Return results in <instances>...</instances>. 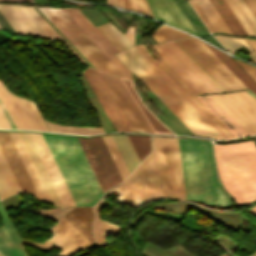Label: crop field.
Here are the masks:
<instances>
[{"label": "crop field", "instance_id": "dbb93151", "mask_svg": "<svg viewBox=\"0 0 256 256\" xmlns=\"http://www.w3.org/2000/svg\"><path fill=\"white\" fill-rule=\"evenodd\" d=\"M250 44L251 46L254 48V50L256 51V40L253 39H247L245 38Z\"/></svg>", "mask_w": 256, "mask_h": 256}, {"label": "crop field", "instance_id": "0765c3eb", "mask_svg": "<svg viewBox=\"0 0 256 256\" xmlns=\"http://www.w3.org/2000/svg\"><path fill=\"white\" fill-rule=\"evenodd\" d=\"M1 1H23V0H1ZM30 2H33L32 0H28Z\"/></svg>", "mask_w": 256, "mask_h": 256}, {"label": "crop field", "instance_id": "4177f3b9", "mask_svg": "<svg viewBox=\"0 0 256 256\" xmlns=\"http://www.w3.org/2000/svg\"><path fill=\"white\" fill-rule=\"evenodd\" d=\"M184 17L187 19L193 30L196 32L198 37L203 38L216 46L224 49L207 31L199 17L196 15L190 4L186 0H173ZM225 50V49H224Z\"/></svg>", "mask_w": 256, "mask_h": 256}, {"label": "crop field", "instance_id": "eef30255", "mask_svg": "<svg viewBox=\"0 0 256 256\" xmlns=\"http://www.w3.org/2000/svg\"><path fill=\"white\" fill-rule=\"evenodd\" d=\"M215 115L216 117L236 136L250 135L236 121H234L224 110H222L207 95L197 96Z\"/></svg>", "mask_w": 256, "mask_h": 256}, {"label": "crop field", "instance_id": "d9b57169", "mask_svg": "<svg viewBox=\"0 0 256 256\" xmlns=\"http://www.w3.org/2000/svg\"><path fill=\"white\" fill-rule=\"evenodd\" d=\"M45 8L76 39V41L97 61V63L106 72L126 78L60 9H52L48 7H45Z\"/></svg>", "mask_w": 256, "mask_h": 256}, {"label": "crop field", "instance_id": "73cf0c24", "mask_svg": "<svg viewBox=\"0 0 256 256\" xmlns=\"http://www.w3.org/2000/svg\"><path fill=\"white\" fill-rule=\"evenodd\" d=\"M0 126H1V128H10L6 119L4 118L1 110H0Z\"/></svg>", "mask_w": 256, "mask_h": 256}, {"label": "crop field", "instance_id": "9d1cf04e", "mask_svg": "<svg viewBox=\"0 0 256 256\" xmlns=\"http://www.w3.org/2000/svg\"><path fill=\"white\" fill-rule=\"evenodd\" d=\"M248 211L251 212L252 214L256 215V207H254V208H252V209H250Z\"/></svg>", "mask_w": 256, "mask_h": 256}, {"label": "crop field", "instance_id": "3316defc", "mask_svg": "<svg viewBox=\"0 0 256 256\" xmlns=\"http://www.w3.org/2000/svg\"><path fill=\"white\" fill-rule=\"evenodd\" d=\"M208 96L251 135L256 134V99L245 91Z\"/></svg>", "mask_w": 256, "mask_h": 256}, {"label": "crop field", "instance_id": "412701ff", "mask_svg": "<svg viewBox=\"0 0 256 256\" xmlns=\"http://www.w3.org/2000/svg\"><path fill=\"white\" fill-rule=\"evenodd\" d=\"M77 206L103 194L75 137L42 134Z\"/></svg>", "mask_w": 256, "mask_h": 256}, {"label": "crop field", "instance_id": "bc2a9ffb", "mask_svg": "<svg viewBox=\"0 0 256 256\" xmlns=\"http://www.w3.org/2000/svg\"><path fill=\"white\" fill-rule=\"evenodd\" d=\"M0 146L22 191H28L39 199L35 188L7 132H0Z\"/></svg>", "mask_w": 256, "mask_h": 256}, {"label": "crop field", "instance_id": "1d79db26", "mask_svg": "<svg viewBox=\"0 0 256 256\" xmlns=\"http://www.w3.org/2000/svg\"><path fill=\"white\" fill-rule=\"evenodd\" d=\"M107 3L111 4V5H114V6H117L116 0H107Z\"/></svg>", "mask_w": 256, "mask_h": 256}, {"label": "crop field", "instance_id": "dd49c442", "mask_svg": "<svg viewBox=\"0 0 256 256\" xmlns=\"http://www.w3.org/2000/svg\"><path fill=\"white\" fill-rule=\"evenodd\" d=\"M152 46L196 94L223 92L173 41Z\"/></svg>", "mask_w": 256, "mask_h": 256}, {"label": "crop field", "instance_id": "a9b5d70f", "mask_svg": "<svg viewBox=\"0 0 256 256\" xmlns=\"http://www.w3.org/2000/svg\"><path fill=\"white\" fill-rule=\"evenodd\" d=\"M8 133H9V135H10V137H11V139H12V141H13V143H14V145H15V147H16V149H17V151H18V153H19V155H20V157H21V159L24 163V165H25V168H26V170H27V172H28V174H29V176H30V178H31L39 196H40V198L42 200L46 201V202H50V200H49V198H48V196H47V194H46V192H45V190L42 186V183H41V181H40V179H39V177H38V175H37V173L34 169V166H33L32 162H31V160H30V158H29V156H28V154L25 150V147H24L18 133L17 132H8Z\"/></svg>", "mask_w": 256, "mask_h": 256}, {"label": "crop field", "instance_id": "5142ce71", "mask_svg": "<svg viewBox=\"0 0 256 256\" xmlns=\"http://www.w3.org/2000/svg\"><path fill=\"white\" fill-rule=\"evenodd\" d=\"M82 73L94 94L96 95L97 99L99 100L100 104L102 105L110 121L114 125L116 131H131L111 94L99 76L97 70L86 68Z\"/></svg>", "mask_w": 256, "mask_h": 256}, {"label": "crop field", "instance_id": "db79e9e6", "mask_svg": "<svg viewBox=\"0 0 256 256\" xmlns=\"http://www.w3.org/2000/svg\"><path fill=\"white\" fill-rule=\"evenodd\" d=\"M66 3H71V2H66ZM71 4H76V5H88V4H78V3H71Z\"/></svg>", "mask_w": 256, "mask_h": 256}, {"label": "crop field", "instance_id": "0fb4a251", "mask_svg": "<svg viewBox=\"0 0 256 256\" xmlns=\"http://www.w3.org/2000/svg\"><path fill=\"white\" fill-rule=\"evenodd\" d=\"M60 39H62V38H60ZM63 40V39H62ZM64 41V40H63ZM65 42V41H64ZM66 43V42H65ZM67 44V43H66ZM68 45V44H67ZM69 46V45H68ZM70 47V46H69ZM71 48V47H70ZM71 50L74 52V54L84 63V64H86V65H88L72 48H71Z\"/></svg>", "mask_w": 256, "mask_h": 256}, {"label": "crop field", "instance_id": "c21b1889", "mask_svg": "<svg viewBox=\"0 0 256 256\" xmlns=\"http://www.w3.org/2000/svg\"><path fill=\"white\" fill-rule=\"evenodd\" d=\"M24 8L45 29V31L52 38L60 37V35L47 23V21L33 7H24Z\"/></svg>", "mask_w": 256, "mask_h": 256}, {"label": "crop field", "instance_id": "e1f06a70", "mask_svg": "<svg viewBox=\"0 0 256 256\" xmlns=\"http://www.w3.org/2000/svg\"><path fill=\"white\" fill-rule=\"evenodd\" d=\"M128 137H129L140 161L151 152V149H152L151 137H149L151 149H150L148 137H139V136H128Z\"/></svg>", "mask_w": 256, "mask_h": 256}, {"label": "crop field", "instance_id": "92a150f3", "mask_svg": "<svg viewBox=\"0 0 256 256\" xmlns=\"http://www.w3.org/2000/svg\"><path fill=\"white\" fill-rule=\"evenodd\" d=\"M0 217L5 225L0 228V254L2 256H28L1 202Z\"/></svg>", "mask_w": 256, "mask_h": 256}, {"label": "crop field", "instance_id": "d23c7cc5", "mask_svg": "<svg viewBox=\"0 0 256 256\" xmlns=\"http://www.w3.org/2000/svg\"><path fill=\"white\" fill-rule=\"evenodd\" d=\"M129 41L134 45V27L129 26L127 32L125 33Z\"/></svg>", "mask_w": 256, "mask_h": 256}, {"label": "crop field", "instance_id": "1f2cbd36", "mask_svg": "<svg viewBox=\"0 0 256 256\" xmlns=\"http://www.w3.org/2000/svg\"><path fill=\"white\" fill-rule=\"evenodd\" d=\"M240 2L243 4V6L245 7V9L247 10V12L250 14V16L252 17V19L254 20V22L256 23V18L253 16V14L251 13V11L249 10V8L246 6V4L244 3L243 0H240Z\"/></svg>", "mask_w": 256, "mask_h": 256}, {"label": "crop field", "instance_id": "d3111659", "mask_svg": "<svg viewBox=\"0 0 256 256\" xmlns=\"http://www.w3.org/2000/svg\"><path fill=\"white\" fill-rule=\"evenodd\" d=\"M205 44V43H204ZM248 88L256 93V83L241 69L234 60L220 50L205 44ZM249 89V90H250Z\"/></svg>", "mask_w": 256, "mask_h": 256}, {"label": "crop field", "instance_id": "03da06ac", "mask_svg": "<svg viewBox=\"0 0 256 256\" xmlns=\"http://www.w3.org/2000/svg\"><path fill=\"white\" fill-rule=\"evenodd\" d=\"M73 207L68 208H51L50 210L38 209L37 211L30 209V211L38 213L40 215L46 216L48 218L54 219L58 221L61 217H63L69 210Z\"/></svg>", "mask_w": 256, "mask_h": 256}, {"label": "crop field", "instance_id": "5a996713", "mask_svg": "<svg viewBox=\"0 0 256 256\" xmlns=\"http://www.w3.org/2000/svg\"><path fill=\"white\" fill-rule=\"evenodd\" d=\"M193 9L196 11L202 22L209 32L221 31L226 33L247 36L241 25L238 23L230 9L223 0H210L225 24L220 19L218 13L211 5L209 0H188ZM249 36V35H248Z\"/></svg>", "mask_w": 256, "mask_h": 256}, {"label": "crop field", "instance_id": "cbeb9de0", "mask_svg": "<svg viewBox=\"0 0 256 256\" xmlns=\"http://www.w3.org/2000/svg\"><path fill=\"white\" fill-rule=\"evenodd\" d=\"M77 27L112 61V63L131 80L130 72L113 55L119 52L88 20L79 9H61Z\"/></svg>", "mask_w": 256, "mask_h": 256}, {"label": "crop field", "instance_id": "028f5c9d", "mask_svg": "<svg viewBox=\"0 0 256 256\" xmlns=\"http://www.w3.org/2000/svg\"><path fill=\"white\" fill-rule=\"evenodd\" d=\"M102 138H103V140H104V142H105V144H106V146H107V148H108V150H109V152H110V154L113 158V161H114L122 179H124L129 174V172H128V170H127V168H126V166H125V164H124V162H123V160L120 156V153H119L112 137L111 136H104Z\"/></svg>", "mask_w": 256, "mask_h": 256}, {"label": "crop field", "instance_id": "25e5ab78", "mask_svg": "<svg viewBox=\"0 0 256 256\" xmlns=\"http://www.w3.org/2000/svg\"><path fill=\"white\" fill-rule=\"evenodd\" d=\"M0 108H1V110H2V112H3V114H4V116H5V118L7 119V121H8V123H9V125H10V127H11V129H15V127H14V125H13V123H12V119L10 120V118H9V116H8V114H7V110L5 111V109H4V107H3V105H2V103L0 102ZM17 129V128H16Z\"/></svg>", "mask_w": 256, "mask_h": 256}, {"label": "crop field", "instance_id": "b54c1fbb", "mask_svg": "<svg viewBox=\"0 0 256 256\" xmlns=\"http://www.w3.org/2000/svg\"><path fill=\"white\" fill-rule=\"evenodd\" d=\"M128 2L130 9L143 12L153 17L146 0H128Z\"/></svg>", "mask_w": 256, "mask_h": 256}, {"label": "crop field", "instance_id": "dafd665d", "mask_svg": "<svg viewBox=\"0 0 256 256\" xmlns=\"http://www.w3.org/2000/svg\"><path fill=\"white\" fill-rule=\"evenodd\" d=\"M18 133H19V135H20V137H21V139H22V141H23V143H24V145L27 149V152H28V154H29L34 166H35V169H36V171H37V173H38V175H39V177H40V179H41V181L44 185V188H45L51 202L53 204L57 205V206H63L59 197H58V195H57V193H56V191H55V189H54V187H53V185H52V183H51V181H50V179H49V177H48V175H47V173H46V171H45V168H44V166H43V164H42V162H41V160H40L32 142H31V140L28 136V134L27 133H21V132H18Z\"/></svg>", "mask_w": 256, "mask_h": 256}, {"label": "crop field", "instance_id": "120bbe31", "mask_svg": "<svg viewBox=\"0 0 256 256\" xmlns=\"http://www.w3.org/2000/svg\"><path fill=\"white\" fill-rule=\"evenodd\" d=\"M109 40L110 42L119 50H123L129 46L131 43L125 37L123 33H121L117 28H115L110 23H105L97 27Z\"/></svg>", "mask_w": 256, "mask_h": 256}, {"label": "crop field", "instance_id": "425ffa30", "mask_svg": "<svg viewBox=\"0 0 256 256\" xmlns=\"http://www.w3.org/2000/svg\"><path fill=\"white\" fill-rule=\"evenodd\" d=\"M256 17V0H244Z\"/></svg>", "mask_w": 256, "mask_h": 256}, {"label": "crop field", "instance_id": "22f410ed", "mask_svg": "<svg viewBox=\"0 0 256 256\" xmlns=\"http://www.w3.org/2000/svg\"><path fill=\"white\" fill-rule=\"evenodd\" d=\"M48 230L54 235L42 244L24 239H22V241L48 249L52 248L53 246L63 249L57 254V256H70L81 248L86 249L94 247L64 217L55 226Z\"/></svg>", "mask_w": 256, "mask_h": 256}, {"label": "crop field", "instance_id": "e52e79f7", "mask_svg": "<svg viewBox=\"0 0 256 256\" xmlns=\"http://www.w3.org/2000/svg\"><path fill=\"white\" fill-rule=\"evenodd\" d=\"M77 138L86 154V157L103 192H105L106 189L119 183L122 179L102 138Z\"/></svg>", "mask_w": 256, "mask_h": 256}, {"label": "crop field", "instance_id": "c035e120", "mask_svg": "<svg viewBox=\"0 0 256 256\" xmlns=\"http://www.w3.org/2000/svg\"><path fill=\"white\" fill-rule=\"evenodd\" d=\"M175 29V28H174ZM164 24L159 26L156 31L151 35L157 42L164 41L167 39L179 38L188 36L185 33L174 30Z\"/></svg>", "mask_w": 256, "mask_h": 256}, {"label": "crop field", "instance_id": "5d738f31", "mask_svg": "<svg viewBox=\"0 0 256 256\" xmlns=\"http://www.w3.org/2000/svg\"><path fill=\"white\" fill-rule=\"evenodd\" d=\"M256 82V67L246 64V63H242L240 61H236Z\"/></svg>", "mask_w": 256, "mask_h": 256}, {"label": "crop field", "instance_id": "730fd06b", "mask_svg": "<svg viewBox=\"0 0 256 256\" xmlns=\"http://www.w3.org/2000/svg\"><path fill=\"white\" fill-rule=\"evenodd\" d=\"M22 192L0 148V197Z\"/></svg>", "mask_w": 256, "mask_h": 256}, {"label": "crop field", "instance_id": "447ae74e", "mask_svg": "<svg viewBox=\"0 0 256 256\" xmlns=\"http://www.w3.org/2000/svg\"><path fill=\"white\" fill-rule=\"evenodd\" d=\"M245 91L248 92L250 95H252L254 98H256V95L253 94L251 91H249V90H245Z\"/></svg>", "mask_w": 256, "mask_h": 256}, {"label": "crop field", "instance_id": "214f88e0", "mask_svg": "<svg viewBox=\"0 0 256 256\" xmlns=\"http://www.w3.org/2000/svg\"><path fill=\"white\" fill-rule=\"evenodd\" d=\"M147 1L156 19L195 34L172 0Z\"/></svg>", "mask_w": 256, "mask_h": 256}, {"label": "crop field", "instance_id": "0f1d7ab4", "mask_svg": "<svg viewBox=\"0 0 256 256\" xmlns=\"http://www.w3.org/2000/svg\"><path fill=\"white\" fill-rule=\"evenodd\" d=\"M0 29H2L1 26H0Z\"/></svg>", "mask_w": 256, "mask_h": 256}, {"label": "crop field", "instance_id": "750c4746", "mask_svg": "<svg viewBox=\"0 0 256 256\" xmlns=\"http://www.w3.org/2000/svg\"><path fill=\"white\" fill-rule=\"evenodd\" d=\"M125 84L126 88L134 98L135 102L143 112L144 116L152 126L155 133H165V134H173L170 130H168L142 103L137 93L132 88V81L121 79Z\"/></svg>", "mask_w": 256, "mask_h": 256}, {"label": "crop field", "instance_id": "733c2abd", "mask_svg": "<svg viewBox=\"0 0 256 256\" xmlns=\"http://www.w3.org/2000/svg\"><path fill=\"white\" fill-rule=\"evenodd\" d=\"M64 206H76L40 133H28Z\"/></svg>", "mask_w": 256, "mask_h": 256}, {"label": "crop field", "instance_id": "4a817a6b", "mask_svg": "<svg viewBox=\"0 0 256 256\" xmlns=\"http://www.w3.org/2000/svg\"><path fill=\"white\" fill-rule=\"evenodd\" d=\"M0 12L17 34L51 38L22 6L0 4Z\"/></svg>", "mask_w": 256, "mask_h": 256}, {"label": "crop field", "instance_id": "d8731c3e", "mask_svg": "<svg viewBox=\"0 0 256 256\" xmlns=\"http://www.w3.org/2000/svg\"><path fill=\"white\" fill-rule=\"evenodd\" d=\"M178 41L227 90H240L246 86L197 38L186 37Z\"/></svg>", "mask_w": 256, "mask_h": 256}, {"label": "crop field", "instance_id": "d1516ede", "mask_svg": "<svg viewBox=\"0 0 256 256\" xmlns=\"http://www.w3.org/2000/svg\"><path fill=\"white\" fill-rule=\"evenodd\" d=\"M0 100L17 129L49 131L34 103L14 96L1 81Z\"/></svg>", "mask_w": 256, "mask_h": 256}, {"label": "crop field", "instance_id": "34b2d1b8", "mask_svg": "<svg viewBox=\"0 0 256 256\" xmlns=\"http://www.w3.org/2000/svg\"><path fill=\"white\" fill-rule=\"evenodd\" d=\"M116 56L136 74L194 134L224 139L134 46L116 54Z\"/></svg>", "mask_w": 256, "mask_h": 256}, {"label": "crop field", "instance_id": "7b73153f", "mask_svg": "<svg viewBox=\"0 0 256 256\" xmlns=\"http://www.w3.org/2000/svg\"><path fill=\"white\" fill-rule=\"evenodd\" d=\"M221 256H228V255L224 253V254H222Z\"/></svg>", "mask_w": 256, "mask_h": 256}, {"label": "crop field", "instance_id": "b80d0937", "mask_svg": "<svg viewBox=\"0 0 256 256\" xmlns=\"http://www.w3.org/2000/svg\"><path fill=\"white\" fill-rule=\"evenodd\" d=\"M231 53L239 46L244 45L251 53L249 54L253 61L256 62V52H254L243 38H232L214 35Z\"/></svg>", "mask_w": 256, "mask_h": 256}, {"label": "crop field", "instance_id": "5866460e", "mask_svg": "<svg viewBox=\"0 0 256 256\" xmlns=\"http://www.w3.org/2000/svg\"><path fill=\"white\" fill-rule=\"evenodd\" d=\"M156 68L157 70L202 114V116L224 137L228 138L208 116L180 89V87L153 61V59L139 46H135Z\"/></svg>", "mask_w": 256, "mask_h": 256}, {"label": "crop field", "instance_id": "f4fd0767", "mask_svg": "<svg viewBox=\"0 0 256 256\" xmlns=\"http://www.w3.org/2000/svg\"><path fill=\"white\" fill-rule=\"evenodd\" d=\"M218 172L224 188L238 205L256 200V148L252 141L214 145Z\"/></svg>", "mask_w": 256, "mask_h": 256}, {"label": "crop field", "instance_id": "78b8030e", "mask_svg": "<svg viewBox=\"0 0 256 256\" xmlns=\"http://www.w3.org/2000/svg\"><path fill=\"white\" fill-rule=\"evenodd\" d=\"M251 256H256V253H254L253 255H251Z\"/></svg>", "mask_w": 256, "mask_h": 256}, {"label": "crop field", "instance_id": "ac0d7876", "mask_svg": "<svg viewBox=\"0 0 256 256\" xmlns=\"http://www.w3.org/2000/svg\"><path fill=\"white\" fill-rule=\"evenodd\" d=\"M187 199L218 207H233L222 188L208 141L178 138Z\"/></svg>", "mask_w": 256, "mask_h": 256}, {"label": "crop field", "instance_id": "bd1437ed", "mask_svg": "<svg viewBox=\"0 0 256 256\" xmlns=\"http://www.w3.org/2000/svg\"><path fill=\"white\" fill-rule=\"evenodd\" d=\"M121 156L129 170L131 172L140 162L127 138L126 135H115L112 136Z\"/></svg>", "mask_w": 256, "mask_h": 256}, {"label": "crop field", "instance_id": "89e229c0", "mask_svg": "<svg viewBox=\"0 0 256 256\" xmlns=\"http://www.w3.org/2000/svg\"><path fill=\"white\" fill-rule=\"evenodd\" d=\"M117 2H118V6L129 9L127 0H117Z\"/></svg>", "mask_w": 256, "mask_h": 256}, {"label": "crop field", "instance_id": "0bd39190", "mask_svg": "<svg viewBox=\"0 0 256 256\" xmlns=\"http://www.w3.org/2000/svg\"><path fill=\"white\" fill-rule=\"evenodd\" d=\"M51 131L57 132H68V133H79V134H93V133H104L102 127L99 128H87V127H75V126H60L47 122Z\"/></svg>", "mask_w": 256, "mask_h": 256}, {"label": "crop field", "instance_id": "1d83c4d3", "mask_svg": "<svg viewBox=\"0 0 256 256\" xmlns=\"http://www.w3.org/2000/svg\"><path fill=\"white\" fill-rule=\"evenodd\" d=\"M249 36H256V25L238 0H224Z\"/></svg>", "mask_w": 256, "mask_h": 256}, {"label": "crop field", "instance_id": "00972430", "mask_svg": "<svg viewBox=\"0 0 256 256\" xmlns=\"http://www.w3.org/2000/svg\"><path fill=\"white\" fill-rule=\"evenodd\" d=\"M64 217L93 245L96 244L90 229V224L93 217L91 207H74Z\"/></svg>", "mask_w": 256, "mask_h": 256}, {"label": "crop field", "instance_id": "28ad6ade", "mask_svg": "<svg viewBox=\"0 0 256 256\" xmlns=\"http://www.w3.org/2000/svg\"><path fill=\"white\" fill-rule=\"evenodd\" d=\"M132 131L154 133L120 78L98 71Z\"/></svg>", "mask_w": 256, "mask_h": 256}, {"label": "crop field", "instance_id": "d32e631a", "mask_svg": "<svg viewBox=\"0 0 256 256\" xmlns=\"http://www.w3.org/2000/svg\"><path fill=\"white\" fill-rule=\"evenodd\" d=\"M43 15L73 44V46L97 69L104 71L95 60L74 40V38L53 18V16L44 8H38Z\"/></svg>", "mask_w": 256, "mask_h": 256}, {"label": "crop field", "instance_id": "8a807250", "mask_svg": "<svg viewBox=\"0 0 256 256\" xmlns=\"http://www.w3.org/2000/svg\"><path fill=\"white\" fill-rule=\"evenodd\" d=\"M153 144L154 151L94 206L92 229L99 246L104 245L103 234L118 235L121 228L99 216L102 203L114 191L120 194L117 203L135 207L165 198L185 199L177 138L153 137Z\"/></svg>", "mask_w": 256, "mask_h": 256}, {"label": "crop field", "instance_id": "ae1a2a85", "mask_svg": "<svg viewBox=\"0 0 256 256\" xmlns=\"http://www.w3.org/2000/svg\"><path fill=\"white\" fill-rule=\"evenodd\" d=\"M159 65L185 91V93L215 122V124L229 137H235L194 95H196L164 62Z\"/></svg>", "mask_w": 256, "mask_h": 256}]
</instances>
